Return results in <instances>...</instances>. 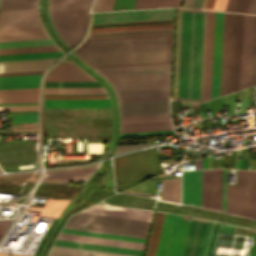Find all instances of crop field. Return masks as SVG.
Listing matches in <instances>:
<instances>
[{
	"label": "crop field",
	"mask_w": 256,
	"mask_h": 256,
	"mask_svg": "<svg viewBox=\"0 0 256 256\" xmlns=\"http://www.w3.org/2000/svg\"><path fill=\"white\" fill-rule=\"evenodd\" d=\"M93 69L115 90L121 116L169 113L170 64Z\"/></svg>",
	"instance_id": "8a807250"
},
{
	"label": "crop field",
	"mask_w": 256,
	"mask_h": 256,
	"mask_svg": "<svg viewBox=\"0 0 256 256\" xmlns=\"http://www.w3.org/2000/svg\"><path fill=\"white\" fill-rule=\"evenodd\" d=\"M207 11L178 9L173 99L203 101Z\"/></svg>",
	"instance_id": "ac0d7876"
},
{
	"label": "crop field",
	"mask_w": 256,
	"mask_h": 256,
	"mask_svg": "<svg viewBox=\"0 0 256 256\" xmlns=\"http://www.w3.org/2000/svg\"><path fill=\"white\" fill-rule=\"evenodd\" d=\"M171 42L172 35L86 40L75 54L91 67L170 63Z\"/></svg>",
	"instance_id": "34b2d1b8"
},
{
	"label": "crop field",
	"mask_w": 256,
	"mask_h": 256,
	"mask_svg": "<svg viewBox=\"0 0 256 256\" xmlns=\"http://www.w3.org/2000/svg\"><path fill=\"white\" fill-rule=\"evenodd\" d=\"M243 14L224 13L220 96L239 89Z\"/></svg>",
	"instance_id": "412701ff"
},
{
	"label": "crop field",
	"mask_w": 256,
	"mask_h": 256,
	"mask_svg": "<svg viewBox=\"0 0 256 256\" xmlns=\"http://www.w3.org/2000/svg\"><path fill=\"white\" fill-rule=\"evenodd\" d=\"M92 0H49V14L61 39L71 48L82 37Z\"/></svg>",
	"instance_id": "f4fd0767"
},
{
	"label": "crop field",
	"mask_w": 256,
	"mask_h": 256,
	"mask_svg": "<svg viewBox=\"0 0 256 256\" xmlns=\"http://www.w3.org/2000/svg\"><path fill=\"white\" fill-rule=\"evenodd\" d=\"M201 170L183 172L182 202L200 207ZM222 169L202 170L201 207L221 211Z\"/></svg>",
	"instance_id": "dd49c442"
},
{
	"label": "crop field",
	"mask_w": 256,
	"mask_h": 256,
	"mask_svg": "<svg viewBox=\"0 0 256 256\" xmlns=\"http://www.w3.org/2000/svg\"><path fill=\"white\" fill-rule=\"evenodd\" d=\"M148 224L146 221L77 213L64 228L145 238Z\"/></svg>",
	"instance_id": "e52e79f7"
},
{
	"label": "crop field",
	"mask_w": 256,
	"mask_h": 256,
	"mask_svg": "<svg viewBox=\"0 0 256 256\" xmlns=\"http://www.w3.org/2000/svg\"><path fill=\"white\" fill-rule=\"evenodd\" d=\"M164 22H172V19L100 23V24H93L92 27L132 25V24H148V23H164ZM164 27H172V23L132 25V26H116V27H100V28H92L91 32L114 31V30H131V29H148V28H164ZM164 34H172V28L90 33L88 39L112 38V37H129V36H147V35H164Z\"/></svg>",
	"instance_id": "d8731c3e"
},
{
	"label": "crop field",
	"mask_w": 256,
	"mask_h": 256,
	"mask_svg": "<svg viewBox=\"0 0 256 256\" xmlns=\"http://www.w3.org/2000/svg\"><path fill=\"white\" fill-rule=\"evenodd\" d=\"M190 219L166 214L156 256H181Z\"/></svg>",
	"instance_id": "5a996713"
},
{
	"label": "crop field",
	"mask_w": 256,
	"mask_h": 256,
	"mask_svg": "<svg viewBox=\"0 0 256 256\" xmlns=\"http://www.w3.org/2000/svg\"><path fill=\"white\" fill-rule=\"evenodd\" d=\"M173 9L95 13L93 23L172 18Z\"/></svg>",
	"instance_id": "3316defc"
},
{
	"label": "crop field",
	"mask_w": 256,
	"mask_h": 256,
	"mask_svg": "<svg viewBox=\"0 0 256 256\" xmlns=\"http://www.w3.org/2000/svg\"><path fill=\"white\" fill-rule=\"evenodd\" d=\"M43 26L37 9L0 11V29Z\"/></svg>",
	"instance_id": "28ad6ade"
},
{
	"label": "crop field",
	"mask_w": 256,
	"mask_h": 256,
	"mask_svg": "<svg viewBox=\"0 0 256 256\" xmlns=\"http://www.w3.org/2000/svg\"><path fill=\"white\" fill-rule=\"evenodd\" d=\"M223 13L215 12L211 99L219 96Z\"/></svg>",
	"instance_id": "d1516ede"
},
{
	"label": "crop field",
	"mask_w": 256,
	"mask_h": 256,
	"mask_svg": "<svg viewBox=\"0 0 256 256\" xmlns=\"http://www.w3.org/2000/svg\"><path fill=\"white\" fill-rule=\"evenodd\" d=\"M253 15L244 14L241 82L250 79ZM250 80L240 84V89L249 87Z\"/></svg>",
	"instance_id": "22f410ed"
},
{
	"label": "crop field",
	"mask_w": 256,
	"mask_h": 256,
	"mask_svg": "<svg viewBox=\"0 0 256 256\" xmlns=\"http://www.w3.org/2000/svg\"><path fill=\"white\" fill-rule=\"evenodd\" d=\"M208 221L191 219L182 256H200Z\"/></svg>",
	"instance_id": "cbeb9de0"
},
{
	"label": "crop field",
	"mask_w": 256,
	"mask_h": 256,
	"mask_svg": "<svg viewBox=\"0 0 256 256\" xmlns=\"http://www.w3.org/2000/svg\"><path fill=\"white\" fill-rule=\"evenodd\" d=\"M82 213H90V214H98V215L149 221L152 211L94 205L82 211Z\"/></svg>",
	"instance_id": "5142ce71"
},
{
	"label": "crop field",
	"mask_w": 256,
	"mask_h": 256,
	"mask_svg": "<svg viewBox=\"0 0 256 256\" xmlns=\"http://www.w3.org/2000/svg\"><path fill=\"white\" fill-rule=\"evenodd\" d=\"M95 167L44 172L41 181L68 184L70 181H86Z\"/></svg>",
	"instance_id": "d9b57169"
},
{
	"label": "crop field",
	"mask_w": 256,
	"mask_h": 256,
	"mask_svg": "<svg viewBox=\"0 0 256 256\" xmlns=\"http://www.w3.org/2000/svg\"><path fill=\"white\" fill-rule=\"evenodd\" d=\"M49 38L44 27L0 30V42Z\"/></svg>",
	"instance_id": "733c2abd"
},
{
	"label": "crop field",
	"mask_w": 256,
	"mask_h": 256,
	"mask_svg": "<svg viewBox=\"0 0 256 256\" xmlns=\"http://www.w3.org/2000/svg\"><path fill=\"white\" fill-rule=\"evenodd\" d=\"M39 87L0 90V103L38 102Z\"/></svg>",
	"instance_id": "4a817a6b"
},
{
	"label": "crop field",
	"mask_w": 256,
	"mask_h": 256,
	"mask_svg": "<svg viewBox=\"0 0 256 256\" xmlns=\"http://www.w3.org/2000/svg\"><path fill=\"white\" fill-rule=\"evenodd\" d=\"M57 58L0 63V73L46 70Z\"/></svg>",
	"instance_id": "bc2a9ffb"
},
{
	"label": "crop field",
	"mask_w": 256,
	"mask_h": 256,
	"mask_svg": "<svg viewBox=\"0 0 256 256\" xmlns=\"http://www.w3.org/2000/svg\"><path fill=\"white\" fill-rule=\"evenodd\" d=\"M58 239L92 243V244H100V245H107V246H115V247H123V248H131V249H139V250H142L144 245L141 243L125 242V241L102 239V238L64 234V233H60Z\"/></svg>",
	"instance_id": "214f88e0"
},
{
	"label": "crop field",
	"mask_w": 256,
	"mask_h": 256,
	"mask_svg": "<svg viewBox=\"0 0 256 256\" xmlns=\"http://www.w3.org/2000/svg\"><path fill=\"white\" fill-rule=\"evenodd\" d=\"M214 12L208 11L204 101L210 99Z\"/></svg>",
	"instance_id": "92a150f3"
},
{
	"label": "crop field",
	"mask_w": 256,
	"mask_h": 256,
	"mask_svg": "<svg viewBox=\"0 0 256 256\" xmlns=\"http://www.w3.org/2000/svg\"><path fill=\"white\" fill-rule=\"evenodd\" d=\"M45 107H110L109 99L45 100Z\"/></svg>",
	"instance_id": "dafd665d"
},
{
	"label": "crop field",
	"mask_w": 256,
	"mask_h": 256,
	"mask_svg": "<svg viewBox=\"0 0 256 256\" xmlns=\"http://www.w3.org/2000/svg\"><path fill=\"white\" fill-rule=\"evenodd\" d=\"M42 74L0 77V89L39 86Z\"/></svg>",
	"instance_id": "00972430"
},
{
	"label": "crop field",
	"mask_w": 256,
	"mask_h": 256,
	"mask_svg": "<svg viewBox=\"0 0 256 256\" xmlns=\"http://www.w3.org/2000/svg\"><path fill=\"white\" fill-rule=\"evenodd\" d=\"M54 245L73 247V248H81V249H89V250H97V251H105V252H113V253H121V254H129V255H137V256H141V253H142V251H139V250L99 246V245H92V244L60 241V240H56Z\"/></svg>",
	"instance_id": "a9b5d70f"
},
{
	"label": "crop field",
	"mask_w": 256,
	"mask_h": 256,
	"mask_svg": "<svg viewBox=\"0 0 256 256\" xmlns=\"http://www.w3.org/2000/svg\"><path fill=\"white\" fill-rule=\"evenodd\" d=\"M48 256H129L53 246Z\"/></svg>",
	"instance_id": "4177f3b9"
},
{
	"label": "crop field",
	"mask_w": 256,
	"mask_h": 256,
	"mask_svg": "<svg viewBox=\"0 0 256 256\" xmlns=\"http://www.w3.org/2000/svg\"><path fill=\"white\" fill-rule=\"evenodd\" d=\"M172 129L170 121L121 124L120 132Z\"/></svg>",
	"instance_id": "730fd06b"
},
{
	"label": "crop field",
	"mask_w": 256,
	"mask_h": 256,
	"mask_svg": "<svg viewBox=\"0 0 256 256\" xmlns=\"http://www.w3.org/2000/svg\"><path fill=\"white\" fill-rule=\"evenodd\" d=\"M69 202L70 201L53 200L48 198L43 208L31 206L30 209L42 210L39 216L58 218Z\"/></svg>",
	"instance_id": "eef30255"
},
{
	"label": "crop field",
	"mask_w": 256,
	"mask_h": 256,
	"mask_svg": "<svg viewBox=\"0 0 256 256\" xmlns=\"http://www.w3.org/2000/svg\"><path fill=\"white\" fill-rule=\"evenodd\" d=\"M161 199L180 203V179L162 181Z\"/></svg>",
	"instance_id": "ae1a2a85"
},
{
	"label": "crop field",
	"mask_w": 256,
	"mask_h": 256,
	"mask_svg": "<svg viewBox=\"0 0 256 256\" xmlns=\"http://www.w3.org/2000/svg\"><path fill=\"white\" fill-rule=\"evenodd\" d=\"M61 55H62V51L17 54V55H4V56H0V62L15 61V60H27V59L52 58V57H59Z\"/></svg>",
	"instance_id": "d3111659"
},
{
	"label": "crop field",
	"mask_w": 256,
	"mask_h": 256,
	"mask_svg": "<svg viewBox=\"0 0 256 256\" xmlns=\"http://www.w3.org/2000/svg\"><path fill=\"white\" fill-rule=\"evenodd\" d=\"M107 93L104 88H45V94Z\"/></svg>",
	"instance_id": "750c4746"
},
{
	"label": "crop field",
	"mask_w": 256,
	"mask_h": 256,
	"mask_svg": "<svg viewBox=\"0 0 256 256\" xmlns=\"http://www.w3.org/2000/svg\"><path fill=\"white\" fill-rule=\"evenodd\" d=\"M37 8V0H1L0 10Z\"/></svg>",
	"instance_id": "bd1437ed"
},
{
	"label": "crop field",
	"mask_w": 256,
	"mask_h": 256,
	"mask_svg": "<svg viewBox=\"0 0 256 256\" xmlns=\"http://www.w3.org/2000/svg\"><path fill=\"white\" fill-rule=\"evenodd\" d=\"M49 45H55L54 42L51 39L18 41V42H5V43H0V49L20 48V47H34V46H49Z\"/></svg>",
	"instance_id": "1d83c4d3"
},
{
	"label": "crop field",
	"mask_w": 256,
	"mask_h": 256,
	"mask_svg": "<svg viewBox=\"0 0 256 256\" xmlns=\"http://www.w3.org/2000/svg\"><path fill=\"white\" fill-rule=\"evenodd\" d=\"M164 216H165L164 213L158 212V214H157V218H156V222H155V226H154V230H153V234H152V238H151L147 256H155V252H156Z\"/></svg>",
	"instance_id": "120bbe31"
},
{
	"label": "crop field",
	"mask_w": 256,
	"mask_h": 256,
	"mask_svg": "<svg viewBox=\"0 0 256 256\" xmlns=\"http://www.w3.org/2000/svg\"><path fill=\"white\" fill-rule=\"evenodd\" d=\"M114 0H97L94 11L111 10ZM133 0H115L112 8H131Z\"/></svg>",
	"instance_id": "d32e631a"
},
{
	"label": "crop field",
	"mask_w": 256,
	"mask_h": 256,
	"mask_svg": "<svg viewBox=\"0 0 256 256\" xmlns=\"http://www.w3.org/2000/svg\"><path fill=\"white\" fill-rule=\"evenodd\" d=\"M62 232L72 233V234H80V235H87V236L110 238V239H118V240H125V241L141 242V243H144V241H145V239H141V238L116 236V235H108V234H100V233H92V232H83V231H75V230H67V229H63Z\"/></svg>",
	"instance_id": "5866460e"
},
{
	"label": "crop field",
	"mask_w": 256,
	"mask_h": 256,
	"mask_svg": "<svg viewBox=\"0 0 256 256\" xmlns=\"http://www.w3.org/2000/svg\"><path fill=\"white\" fill-rule=\"evenodd\" d=\"M170 120L169 114L121 117V123Z\"/></svg>",
	"instance_id": "028f5c9d"
},
{
	"label": "crop field",
	"mask_w": 256,
	"mask_h": 256,
	"mask_svg": "<svg viewBox=\"0 0 256 256\" xmlns=\"http://www.w3.org/2000/svg\"><path fill=\"white\" fill-rule=\"evenodd\" d=\"M45 87H102L98 82H45Z\"/></svg>",
	"instance_id": "e1f06a70"
},
{
	"label": "crop field",
	"mask_w": 256,
	"mask_h": 256,
	"mask_svg": "<svg viewBox=\"0 0 256 256\" xmlns=\"http://www.w3.org/2000/svg\"><path fill=\"white\" fill-rule=\"evenodd\" d=\"M60 50L57 46L0 50V55Z\"/></svg>",
	"instance_id": "0bd39190"
},
{
	"label": "crop field",
	"mask_w": 256,
	"mask_h": 256,
	"mask_svg": "<svg viewBox=\"0 0 256 256\" xmlns=\"http://www.w3.org/2000/svg\"><path fill=\"white\" fill-rule=\"evenodd\" d=\"M250 0H228L225 11L247 12Z\"/></svg>",
	"instance_id": "b80d0937"
},
{
	"label": "crop field",
	"mask_w": 256,
	"mask_h": 256,
	"mask_svg": "<svg viewBox=\"0 0 256 256\" xmlns=\"http://www.w3.org/2000/svg\"><path fill=\"white\" fill-rule=\"evenodd\" d=\"M227 0H205L202 9L224 11Z\"/></svg>",
	"instance_id": "c035e120"
},
{
	"label": "crop field",
	"mask_w": 256,
	"mask_h": 256,
	"mask_svg": "<svg viewBox=\"0 0 256 256\" xmlns=\"http://www.w3.org/2000/svg\"><path fill=\"white\" fill-rule=\"evenodd\" d=\"M255 59H256V15H254V27H253V51H252V75L251 86L254 85L255 76Z\"/></svg>",
	"instance_id": "c21b1889"
},
{
	"label": "crop field",
	"mask_w": 256,
	"mask_h": 256,
	"mask_svg": "<svg viewBox=\"0 0 256 256\" xmlns=\"http://www.w3.org/2000/svg\"><path fill=\"white\" fill-rule=\"evenodd\" d=\"M38 110V105L0 106V111Z\"/></svg>",
	"instance_id": "03da06ac"
},
{
	"label": "crop field",
	"mask_w": 256,
	"mask_h": 256,
	"mask_svg": "<svg viewBox=\"0 0 256 256\" xmlns=\"http://www.w3.org/2000/svg\"><path fill=\"white\" fill-rule=\"evenodd\" d=\"M37 122V114L13 115L12 123Z\"/></svg>",
	"instance_id": "b54c1fbb"
},
{
	"label": "crop field",
	"mask_w": 256,
	"mask_h": 256,
	"mask_svg": "<svg viewBox=\"0 0 256 256\" xmlns=\"http://www.w3.org/2000/svg\"><path fill=\"white\" fill-rule=\"evenodd\" d=\"M227 169H223L222 211L226 212Z\"/></svg>",
	"instance_id": "5d738f31"
},
{
	"label": "crop field",
	"mask_w": 256,
	"mask_h": 256,
	"mask_svg": "<svg viewBox=\"0 0 256 256\" xmlns=\"http://www.w3.org/2000/svg\"><path fill=\"white\" fill-rule=\"evenodd\" d=\"M153 144H157V143L117 146L115 154L116 153H120V152H124V151H128V150H133V149L141 148V147H144V146H147V145H153Z\"/></svg>",
	"instance_id": "d23c7cc5"
},
{
	"label": "crop field",
	"mask_w": 256,
	"mask_h": 256,
	"mask_svg": "<svg viewBox=\"0 0 256 256\" xmlns=\"http://www.w3.org/2000/svg\"><path fill=\"white\" fill-rule=\"evenodd\" d=\"M108 98L107 96H45V99Z\"/></svg>",
	"instance_id": "425ffa30"
},
{
	"label": "crop field",
	"mask_w": 256,
	"mask_h": 256,
	"mask_svg": "<svg viewBox=\"0 0 256 256\" xmlns=\"http://www.w3.org/2000/svg\"><path fill=\"white\" fill-rule=\"evenodd\" d=\"M212 224H213V222L209 221L208 227H207V231H206V235H205V239H204V243H203V248H202L201 256H205V252H206V248H207V244H208V240H209Z\"/></svg>",
	"instance_id": "25e5ab78"
},
{
	"label": "crop field",
	"mask_w": 256,
	"mask_h": 256,
	"mask_svg": "<svg viewBox=\"0 0 256 256\" xmlns=\"http://www.w3.org/2000/svg\"><path fill=\"white\" fill-rule=\"evenodd\" d=\"M247 13H256V0H251Z\"/></svg>",
	"instance_id": "73cf0c24"
},
{
	"label": "crop field",
	"mask_w": 256,
	"mask_h": 256,
	"mask_svg": "<svg viewBox=\"0 0 256 256\" xmlns=\"http://www.w3.org/2000/svg\"><path fill=\"white\" fill-rule=\"evenodd\" d=\"M35 73H43V71H37V72H21V73H5V74H0V76H4V75H19V74H35Z\"/></svg>",
	"instance_id": "89e229c0"
},
{
	"label": "crop field",
	"mask_w": 256,
	"mask_h": 256,
	"mask_svg": "<svg viewBox=\"0 0 256 256\" xmlns=\"http://www.w3.org/2000/svg\"><path fill=\"white\" fill-rule=\"evenodd\" d=\"M194 0H184L182 7L192 8L193 7Z\"/></svg>",
	"instance_id": "1f2cbd36"
},
{
	"label": "crop field",
	"mask_w": 256,
	"mask_h": 256,
	"mask_svg": "<svg viewBox=\"0 0 256 256\" xmlns=\"http://www.w3.org/2000/svg\"><path fill=\"white\" fill-rule=\"evenodd\" d=\"M203 1H204V0H195L194 7H193V8L201 9V8H202V5H203Z\"/></svg>",
	"instance_id": "dbb93151"
},
{
	"label": "crop field",
	"mask_w": 256,
	"mask_h": 256,
	"mask_svg": "<svg viewBox=\"0 0 256 256\" xmlns=\"http://www.w3.org/2000/svg\"><path fill=\"white\" fill-rule=\"evenodd\" d=\"M0 256H25V255H16V254L0 253Z\"/></svg>",
	"instance_id": "0fb4a251"
},
{
	"label": "crop field",
	"mask_w": 256,
	"mask_h": 256,
	"mask_svg": "<svg viewBox=\"0 0 256 256\" xmlns=\"http://www.w3.org/2000/svg\"><path fill=\"white\" fill-rule=\"evenodd\" d=\"M202 168H207V157L203 159Z\"/></svg>",
	"instance_id": "1d79db26"
},
{
	"label": "crop field",
	"mask_w": 256,
	"mask_h": 256,
	"mask_svg": "<svg viewBox=\"0 0 256 256\" xmlns=\"http://www.w3.org/2000/svg\"><path fill=\"white\" fill-rule=\"evenodd\" d=\"M17 104H38V103H17ZM0 105H16V104H0Z\"/></svg>",
	"instance_id": "9d1cf04e"
},
{
	"label": "crop field",
	"mask_w": 256,
	"mask_h": 256,
	"mask_svg": "<svg viewBox=\"0 0 256 256\" xmlns=\"http://www.w3.org/2000/svg\"><path fill=\"white\" fill-rule=\"evenodd\" d=\"M192 106L195 107V108H197V109H199L198 104H193V103H192Z\"/></svg>",
	"instance_id": "447ae74e"
},
{
	"label": "crop field",
	"mask_w": 256,
	"mask_h": 256,
	"mask_svg": "<svg viewBox=\"0 0 256 256\" xmlns=\"http://www.w3.org/2000/svg\"><path fill=\"white\" fill-rule=\"evenodd\" d=\"M240 166H241V160L239 159L238 160V168H240Z\"/></svg>",
	"instance_id": "0765c3eb"
},
{
	"label": "crop field",
	"mask_w": 256,
	"mask_h": 256,
	"mask_svg": "<svg viewBox=\"0 0 256 256\" xmlns=\"http://www.w3.org/2000/svg\"><path fill=\"white\" fill-rule=\"evenodd\" d=\"M254 256H256V249H255V252H254Z\"/></svg>",
	"instance_id": "db79e9e6"
},
{
	"label": "crop field",
	"mask_w": 256,
	"mask_h": 256,
	"mask_svg": "<svg viewBox=\"0 0 256 256\" xmlns=\"http://www.w3.org/2000/svg\"><path fill=\"white\" fill-rule=\"evenodd\" d=\"M255 84H256V76H255Z\"/></svg>",
	"instance_id": "7b73153f"
},
{
	"label": "crop field",
	"mask_w": 256,
	"mask_h": 256,
	"mask_svg": "<svg viewBox=\"0 0 256 256\" xmlns=\"http://www.w3.org/2000/svg\"><path fill=\"white\" fill-rule=\"evenodd\" d=\"M2 236V234H0V237Z\"/></svg>",
	"instance_id": "78b8030e"
},
{
	"label": "crop field",
	"mask_w": 256,
	"mask_h": 256,
	"mask_svg": "<svg viewBox=\"0 0 256 256\" xmlns=\"http://www.w3.org/2000/svg\"><path fill=\"white\" fill-rule=\"evenodd\" d=\"M0 172H2V171L0 170Z\"/></svg>",
	"instance_id": "0f1d7ab4"
}]
</instances>
